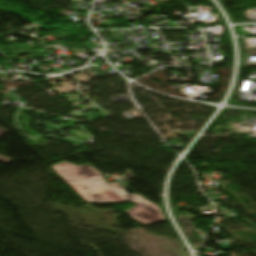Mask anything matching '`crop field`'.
I'll return each instance as SVG.
<instances>
[{
	"instance_id": "2",
	"label": "crop field",
	"mask_w": 256,
	"mask_h": 256,
	"mask_svg": "<svg viewBox=\"0 0 256 256\" xmlns=\"http://www.w3.org/2000/svg\"><path fill=\"white\" fill-rule=\"evenodd\" d=\"M4 133H6V130L0 128V137H1ZM10 161H12V159L5 158V157L0 156V162H3V163L8 164Z\"/></svg>"
},
{
	"instance_id": "1",
	"label": "crop field",
	"mask_w": 256,
	"mask_h": 256,
	"mask_svg": "<svg viewBox=\"0 0 256 256\" xmlns=\"http://www.w3.org/2000/svg\"><path fill=\"white\" fill-rule=\"evenodd\" d=\"M52 167L87 203L114 204L129 201L137 206L127 212L141 225L166 221L158 206L139 195H127L119 183H105L102 175L89 165L76 167L63 162Z\"/></svg>"
}]
</instances>
